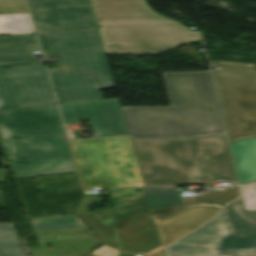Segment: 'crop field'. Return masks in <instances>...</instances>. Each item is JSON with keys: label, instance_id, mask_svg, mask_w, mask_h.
Returning a JSON list of instances; mask_svg holds the SVG:
<instances>
[{"label": "crop field", "instance_id": "crop-field-1", "mask_svg": "<svg viewBox=\"0 0 256 256\" xmlns=\"http://www.w3.org/2000/svg\"><path fill=\"white\" fill-rule=\"evenodd\" d=\"M163 74L172 107H122L130 135L191 138L224 133L209 71Z\"/></svg>", "mask_w": 256, "mask_h": 256}, {"label": "crop field", "instance_id": "crop-field-2", "mask_svg": "<svg viewBox=\"0 0 256 256\" xmlns=\"http://www.w3.org/2000/svg\"><path fill=\"white\" fill-rule=\"evenodd\" d=\"M145 185H237L225 135L183 141H132Z\"/></svg>", "mask_w": 256, "mask_h": 256}, {"label": "crop field", "instance_id": "crop-field-3", "mask_svg": "<svg viewBox=\"0 0 256 256\" xmlns=\"http://www.w3.org/2000/svg\"><path fill=\"white\" fill-rule=\"evenodd\" d=\"M91 2L107 55L157 54L201 39L199 31L152 12L144 0Z\"/></svg>", "mask_w": 256, "mask_h": 256}, {"label": "crop field", "instance_id": "crop-field-4", "mask_svg": "<svg viewBox=\"0 0 256 256\" xmlns=\"http://www.w3.org/2000/svg\"><path fill=\"white\" fill-rule=\"evenodd\" d=\"M59 104L104 99L98 88L114 87L99 29L39 35Z\"/></svg>", "mask_w": 256, "mask_h": 256}, {"label": "crop field", "instance_id": "crop-field-5", "mask_svg": "<svg viewBox=\"0 0 256 256\" xmlns=\"http://www.w3.org/2000/svg\"><path fill=\"white\" fill-rule=\"evenodd\" d=\"M210 63L230 141L255 137L256 65Z\"/></svg>", "mask_w": 256, "mask_h": 256}, {"label": "crop field", "instance_id": "crop-field-6", "mask_svg": "<svg viewBox=\"0 0 256 256\" xmlns=\"http://www.w3.org/2000/svg\"><path fill=\"white\" fill-rule=\"evenodd\" d=\"M166 256H256V236L237 237L228 209L164 249Z\"/></svg>", "mask_w": 256, "mask_h": 256}, {"label": "crop field", "instance_id": "crop-field-7", "mask_svg": "<svg viewBox=\"0 0 256 256\" xmlns=\"http://www.w3.org/2000/svg\"><path fill=\"white\" fill-rule=\"evenodd\" d=\"M51 104L48 75L38 62L0 65V110Z\"/></svg>", "mask_w": 256, "mask_h": 256}, {"label": "crop field", "instance_id": "crop-field-8", "mask_svg": "<svg viewBox=\"0 0 256 256\" xmlns=\"http://www.w3.org/2000/svg\"><path fill=\"white\" fill-rule=\"evenodd\" d=\"M17 140L25 160L10 162L16 178L76 172L65 134Z\"/></svg>", "mask_w": 256, "mask_h": 256}, {"label": "crop field", "instance_id": "crop-field-9", "mask_svg": "<svg viewBox=\"0 0 256 256\" xmlns=\"http://www.w3.org/2000/svg\"><path fill=\"white\" fill-rule=\"evenodd\" d=\"M64 133L56 105L0 111V134L10 160L23 159L15 137Z\"/></svg>", "mask_w": 256, "mask_h": 256}, {"label": "crop field", "instance_id": "crop-field-10", "mask_svg": "<svg viewBox=\"0 0 256 256\" xmlns=\"http://www.w3.org/2000/svg\"><path fill=\"white\" fill-rule=\"evenodd\" d=\"M38 34L98 28L90 0H27Z\"/></svg>", "mask_w": 256, "mask_h": 256}, {"label": "crop field", "instance_id": "crop-field-11", "mask_svg": "<svg viewBox=\"0 0 256 256\" xmlns=\"http://www.w3.org/2000/svg\"><path fill=\"white\" fill-rule=\"evenodd\" d=\"M59 106L65 124L89 119L94 137L129 134L118 98Z\"/></svg>", "mask_w": 256, "mask_h": 256}, {"label": "crop field", "instance_id": "crop-field-12", "mask_svg": "<svg viewBox=\"0 0 256 256\" xmlns=\"http://www.w3.org/2000/svg\"><path fill=\"white\" fill-rule=\"evenodd\" d=\"M221 208L217 204H197L149 211L155 227L158 228L162 246H165L208 221Z\"/></svg>", "mask_w": 256, "mask_h": 256}, {"label": "crop field", "instance_id": "crop-field-13", "mask_svg": "<svg viewBox=\"0 0 256 256\" xmlns=\"http://www.w3.org/2000/svg\"><path fill=\"white\" fill-rule=\"evenodd\" d=\"M37 50L34 34L0 36V64L36 61L33 51Z\"/></svg>", "mask_w": 256, "mask_h": 256}, {"label": "crop field", "instance_id": "crop-field-14", "mask_svg": "<svg viewBox=\"0 0 256 256\" xmlns=\"http://www.w3.org/2000/svg\"><path fill=\"white\" fill-rule=\"evenodd\" d=\"M239 182L256 180V138L230 143Z\"/></svg>", "mask_w": 256, "mask_h": 256}, {"label": "crop field", "instance_id": "crop-field-15", "mask_svg": "<svg viewBox=\"0 0 256 256\" xmlns=\"http://www.w3.org/2000/svg\"><path fill=\"white\" fill-rule=\"evenodd\" d=\"M81 218L104 244L120 249L121 245L116 242L117 234L111 207Z\"/></svg>", "mask_w": 256, "mask_h": 256}, {"label": "crop field", "instance_id": "crop-field-16", "mask_svg": "<svg viewBox=\"0 0 256 256\" xmlns=\"http://www.w3.org/2000/svg\"><path fill=\"white\" fill-rule=\"evenodd\" d=\"M120 243L124 245V251L136 253H149L162 247L154 227L121 237Z\"/></svg>", "mask_w": 256, "mask_h": 256}, {"label": "crop field", "instance_id": "crop-field-17", "mask_svg": "<svg viewBox=\"0 0 256 256\" xmlns=\"http://www.w3.org/2000/svg\"><path fill=\"white\" fill-rule=\"evenodd\" d=\"M142 191L148 207L181 204L179 195L174 186L144 187Z\"/></svg>", "mask_w": 256, "mask_h": 256}, {"label": "crop field", "instance_id": "crop-field-18", "mask_svg": "<svg viewBox=\"0 0 256 256\" xmlns=\"http://www.w3.org/2000/svg\"><path fill=\"white\" fill-rule=\"evenodd\" d=\"M238 232L256 234V210L245 211L243 199L228 205Z\"/></svg>", "mask_w": 256, "mask_h": 256}, {"label": "crop field", "instance_id": "crop-field-19", "mask_svg": "<svg viewBox=\"0 0 256 256\" xmlns=\"http://www.w3.org/2000/svg\"><path fill=\"white\" fill-rule=\"evenodd\" d=\"M35 33L28 14L0 16V34Z\"/></svg>", "mask_w": 256, "mask_h": 256}, {"label": "crop field", "instance_id": "crop-field-20", "mask_svg": "<svg viewBox=\"0 0 256 256\" xmlns=\"http://www.w3.org/2000/svg\"><path fill=\"white\" fill-rule=\"evenodd\" d=\"M116 222L120 237L152 227L148 210L118 219Z\"/></svg>", "mask_w": 256, "mask_h": 256}, {"label": "crop field", "instance_id": "crop-field-21", "mask_svg": "<svg viewBox=\"0 0 256 256\" xmlns=\"http://www.w3.org/2000/svg\"><path fill=\"white\" fill-rule=\"evenodd\" d=\"M0 256H23L12 224L0 223Z\"/></svg>", "mask_w": 256, "mask_h": 256}, {"label": "crop field", "instance_id": "crop-field-22", "mask_svg": "<svg viewBox=\"0 0 256 256\" xmlns=\"http://www.w3.org/2000/svg\"><path fill=\"white\" fill-rule=\"evenodd\" d=\"M28 13L24 0H0V15Z\"/></svg>", "mask_w": 256, "mask_h": 256}, {"label": "crop field", "instance_id": "crop-field-23", "mask_svg": "<svg viewBox=\"0 0 256 256\" xmlns=\"http://www.w3.org/2000/svg\"><path fill=\"white\" fill-rule=\"evenodd\" d=\"M246 210L256 209V183L242 186Z\"/></svg>", "mask_w": 256, "mask_h": 256}, {"label": "crop field", "instance_id": "crop-field-24", "mask_svg": "<svg viewBox=\"0 0 256 256\" xmlns=\"http://www.w3.org/2000/svg\"><path fill=\"white\" fill-rule=\"evenodd\" d=\"M235 187H224L223 191H219V190H212L208 193H206L205 195L200 196L197 199H186V200H181L182 204L185 203H192V202H198V201H211L217 197H219L220 195L228 192L229 190L233 189Z\"/></svg>", "mask_w": 256, "mask_h": 256}, {"label": "crop field", "instance_id": "crop-field-25", "mask_svg": "<svg viewBox=\"0 0 256 256\" xmlns=\"http://www.w3.org/2000/svg\"><path fill=\"white\" fill-rule=\"evenodd\" d=\"M92 253L98 256H119L121 252L118 250L109 248L107 246H103L96 249Z\"/></svg>", "mask_w": 256, "mask_h": 256}, {"label": "crop field", "instance_id": "crop-field-26", "mask_svg": "<svg viewBox=\"0 0 256 256\" xmlns=\"http://www.w3.org/2000/svg\"><path fill=\"white\" fill-rule=\"evenodd\" d=\"M240 195L239 191H238V188L233 190L232 192L226 194L225 196L219 198L218 200L214 201V202H220L222 204H226L236 198H238Z\"/></svg>", "mask_w": 256, "mask_h": 256}, {"label": "crop field", "instance_id": "crop-field-27", "mask_svg": "<svg viewBox=\"0 0 256 256\" xmlns=\"http://www.w3.org/2000/svg\"><path fill=\"white\" fill-rule=\"evenodd\" d=\"M152 256H163V252L160 251V252H158V253H156V254H154V255H152Z\"/></svg>", "mask_w": 256, "mask_h": 256}]
</instances>
